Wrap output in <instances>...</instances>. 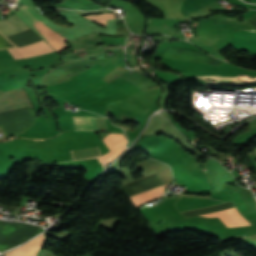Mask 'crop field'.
Listing matches in <instances>:
<instances>
[{
    "label": "crop field",
    "mask_w": 256,
    "mask_h": 256,
    "mask_svg": "<svg viewBox=\"0 0 256 256\" xmlns=\"http://www.w3.org/2000/svg\"><path fill=\"white\" fill-rule=\"evenodd\" d=\"M29 29L16 15L5 19V21H0V32L6 37ZM8 51L15 59H19L54 51V49L42 40L20 48L8 49Z\"/></svg>",
    "instance_id": "1"
},
{
    "label": "crop field",
    "mask_w": 256,
    "mask_h": 256,
    "mask_svg": "<svg viewBox=\"0 0 256 256\" xmlns=\"http://www.w3.org/2000/svg\"><path fill=\"white\" fill-rule=\"evenodd\" d=\"M9 104L21 132L35 121V112L23 90L1 95L0 106Z\"/></svg>",
    "instance_id": "2"
},
{
    "label": "crop field",
    "mask_w": 256,
    "mask_h": 256,
    "mask_svg": "<svg viewBox=\"0 0 256 256\" xmlns=\"http://www.w3.org/2000/svg\"><path fill=\"white\" fill-rule=\"evenodd\" d=\"M17 11L15 7H11L10 9L31 29H33L36 33H38L48 44H50L55 50L60 48L64 42L59 35L51 33L46 28H44L40 23L44 20L39 17L34 11L25 6L16 5Z\"/></svg>",
    "instance_id": "3"
},
{
    "label": "crop field",
    "mask_w": 256,
    "mask_h": 256,
    "mask_svg": "<svg viewBox=\"0 0 256 256\" xmlns=\"http://www.w3.org/2000/svg\"><path fill=\"white\" fill-rule=\"evenodd\" d=\"M105 145L111 152L98 157L99 161L105 167L110 161H112L119 153L126 149L125 144L127 143L123 134H109L106 138L102 139Z\"/></svg>",
    "instance_id": "4"
},
{
    "label": "crop field",
    "mask_w": 256,
    "mask_h": 256,
    "mask_svg": "<svg viewBox=\"0 0 256 256\" xmlns=\"http://www.w3.org/2000/svg\"><path fill=\"white\" fill-rule=\"evenodd\" d=\"M231 45L237 50H248L250 54H256V32L246 30L233 32Z\"/></svg>",
    "instance_id": "5"
},
{
    "label": "crop field",
    "mask_w": 256,
    "mask_h": 256,
    "mask_svg": "<svg viewBox=\"0 0 256 256\" xmlns=\"http://www.w3.org/2000/svg\"><path fill=\"white\" fill-rule=\"evenodd\" d=\"M205 217H219L227 227H239L250 225L236 210L235 207L204 214Z\"/></svg>",
    "instance_id": "6"
},
{
    "label": "crop field",
    "mask_w": 256,
    "mask_h": 256,
    "mask_svg": "<svg viewBox=\"0 0 256 256\" xmlns=\"http://www.w3.org/2000/svg\"><path fill=\"white\" fill-rule=\"evenodd\" d=\"M72 117L76 130L108 131L105 117Z\"/></svg>",
    "instance_id": "7"
},
{
    "label": "crop field",
    "mask_w": 256,
    "mask_h": 256,
    "mask_svg": "<svg viewBox=\"0 0 256 256\" xmlns=\"http://www.w3.org/2000/svg\"><path fill=\"white\" fill-rule=\"evenodd\" d=\"M44 234H41L31 242L5 254L4 256H36V252L44 243Z\"/></svg>",
    "instance_id": "8"
},
{
    "label": "crop field",
    "mask_w": 256,
    "mask_h": 256,
    "mask_svg": "<svg viewBox=\"0 0 256 256\" xmlns=\"http://www.w3.org/2000/svg\"><path fill=\"white\" fill-rule=\"evenodd\" d=\"M74 160L77 159H84L86 157H94V156H101L99 147H90L78 150L70 151Z\"/></svg>",
    "instance_id": "9"
},
{
    "label": "crop field",
    "mask_w": 256,
    "mask_h": 256,
    "mask_svg": "<svg viewBox=\"0 0 256 256\" xmlns=\"http://www.w3.org/2000/svg\"><path fill=\"white\" fill-rule=\"evenodd\" d=\"M163 191H164V188H160V189H157V190H154L152 192H149V193H146L144 195H141L139 197H136V198H133L131 199L134 207L138 206V205H141L143 203H146L148 201H151L153 199H156V198H159L163 195Z\"/></svg>",
    "instance_id": "10"
},
{
    "label": "crop field",
    "mask_w": 256,
    "mask_h": 256,
    "mask_svg": "<svg viewBox=\"0 0 256 256\" xmlns=\"http://www.w3.org/2000/svg\"><path fill=\"white\" fill-rule=\"evenodd\" d=\"M88 19H92L96 22H99L103 25H106V21L107 19H112L115 18V16L112 13H106V14H100V15H88V16H84Z\"/></svg>",
    "instance_id": "11"
}]
</instances>
